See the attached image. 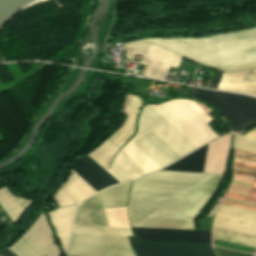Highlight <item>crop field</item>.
Masks as SVG:
<instances>
[{
  "mask_svg": "<svg viewBox=\"0 0 256 256\" xmlns=\"http://www.w3.org/2000/svg\"><path fill=\"white\" fill-rule=\"evenodd\" d=\"M74 224L108 226L104 211L94 196L80 205Z\"/></svg>",
  "mask_w": 256,
  "mask_h": 256,
  "instance_id": "obj_16",
  "label": "crop field"
},
{
  "mask_svg": "<svg viewBox=\"0 0 256 256\" xmlns=\"http://www.w3.org/2000/svg\"><path fill=\"white\" fill-rule=\"evenodd\" d=\"M7 249L16 256H47L25 235Z\"/></svg>",
  "mask_w": 256,
  "mask_h": 256,
  "instance_id": "obj_24",
  "label": "crop field"
},
{
  "mask_svg": "<svg viewBox=\"0 0 256 256\" xmlns=\"http://www.w3.org/2000/svg\"><path fill=\"white\" fill-rule=\"evenodd\" d=\"M61 187L72 197L76 203L82 202L97 192L72 170L67 180Z\"/></svg>",
  "mask_w": 256,
  "mask_h": 256,
  "instance_id": "obj_20",
  "label": "crop field"
},
{
  "mask_svg": "<svg viewBox=\"0 0 256 256\" xmlns=\"http://www.w3.org/2000/svg\"><path fill=\"white\" fill-rule=\"evenodd\" d=\"M218 89L256 96V69L238 73L223 72Z\"/></svg>",
  "mask_w": 256,
  "mask_h": 256,
  "instance_id": "obj_14",
  "label": "crop field"
},
{
  "mask_svg": "<svg viewBox=\"0 0 256 256\" xmlns=\"http://www.w3.org/2000/svg\"><path fill=\"white\" fill-rule=\"evenodd\" d=\"M0 217L4 220V222L7 224V226L13 224L1 208H0Z\"/></svg>",
  "mask_w": 256,
  "mask_h": 256,
  "instance_id": "obj_30",
  "label": "crop field"
},
{
  "mask_svg": "<svg viewBox=\"0 0 256 256\" xmlns=\"http://www.w3.org/2000/svg\"><path fill=\"white\" fill-rule=\"evenodd\" d=\"M149 40L121 44L127 52L124 55L132 60L136 54L143 55L141 61L147 65L141 76L163 79L170 67L178 68L182 57L147 43Z\"/></svg>",
  "mask_w": 256,
  "mask_h": 256,
  "instance_id": "obj_7",
  "label": "crop field"
},
{
  "mask_svg": "<svg viewBox=\"0 0 256 256\" xmlns=\"http://www.w3.org/2000/svg\"><path fill=\"white\" fill-rule=\"evenodd\" d=\"M189 95L206 101L220 111L232 132L244 130L256 122V98L194 87Z\"/></svg>",
  "mask_w": 256,
  "mask_h": 256,
  "instance_id": "obj_5",
  "label": "crop field"
},
{
  "mask_svg": "<svg viewBox=\"0 0 256 256\" xmlns=\"http://www.w3.org/2000/svg\"><path fill=\"white\" fill-rule=\"evenodd\" d=\"M142 101L140 98L130 95L127 109L125 112L130 113L129 118L124 127L113 134L108 140L113 143L118 149L128 140L133 134V129L136 121V115L141 107Z\"/></svg>",
  "mask_w": 256,
  "mask_h": 256,
  "instance_id": "obj_18",
  "label": "crop field"
},
{
  "mask_svg": "<svg viewBox=\"0 0 256 256\" xmlns=\"http://www.w3.org/2000/svg\"><path fill=\"white\" fill-rule=\"evenodd\" d=\"M231 135L222 136L209 143L204 171L224 174Z\"/></svg>",
  "mask_w": 256,
  "mask_h": 256,
  "instance_id": "obj_13",
  "label": "crop field"
},
{
  "mask_svg": "<svg viewBox=\"0 0 256 256\" xmlns=\"http://www.w3.org/2000/svg\"><path fill=\"white\" fill-rule=\"evenodd\" d=\"M149 43L215 69L256 67V28L204 39H151Z\"/></svg>",
  "mask_w": 256,
  "mask_h": 256,
  "instance_id": "obj_2",
  "label": "crop field"
},
{
  "mask_svg": "<svg viewBox=\"0 0 256 256\" xmlns=\"http://www.w3.org/2000/svg\"><path fill=\"white\" fill-rule=\"evenodd\" d=\"M195 104L188 99H176L151 106L199 147L218 136L206 124L214 119Z\"/></svg>",
  "mask_w": 256,
  "mask_h": 256,
  "instance_id": "obj_4",
  "label": "crop field"
},
{
  "mask_svg": "<svg viewBox=\"0 0 256 256\" xmlns=\"http://www.w3.org/2000/svg\"><path fill=\"white\" fill-rule=\"evenodd\" d=\"M4 181L0 178V183H3Z\"/></svg>",
  "mask_w": 256,
  "mask_h": 256,
  "instance_id": "obj_32",
  "label": "crop field"
},
{
  "mask_svg": "<svg viewBox=\"0 0 256 256\" xmlns=\"http://www.w3.org/2000/svg\"><path fill=\"white\" fill-rule=\"evenodd\" d=\"M71 169H73L78 175H80L88 184H90L95 190L99 191L105 187L117 184L101 167H99L88 156L75 160L72 163Z\"/></svg>",
  "mask_w": 256,
  "mask_h": 256,
  "instance_id": "obj_12",
  "label": "crop field"
},
{
  "mask_svg": "<svg viewBox=\"0 0 256 256\" xmlns=\"http://www.w3.org/2000/svg\"><path fill=\"white\" fill-rule=\"evenodd\" d=\"M25 234L48 256L61 254L44 214L40 216Z\"/></svg>",
  "mask_w": 256,
  "mask_h": 256,
  "instance_id": "obj_15",
  "label": "crop field"
},
{
  "mask_svg": "<svg viewBox=\"0 0 256 256\" xmlns=\"http://www.w3.org/2000/svg\"><path fill=\"white\" fill-rule=\"evenodd\" d=\"M130 182L123 183L94 195L103 209L126 206Z\"/></svg>",
  "mask_w": 256,
  "mask_h": 256,
  "instance_id": "obj_19",
  "label": "crop field"
},
{
  "mask_svg": "<svg viewBox=\"0 0 256 256\" xmlns=\"http://www.w3.org/2000/svg\"><path fill=\"white\" fill-rule=\"evenodd\" d=\"M68 256H135L127 238L72 235Z\"/></svg>",
  "mask_w": 256,
  "mask_h": 256,
  "instance_id": "obj_6",
  "label": "crop field"
},
{
  "mask_svg": "<svg viewBox=\"0 0 256 256\" xmlns=\"http://www.w3.org/2000/svg\"><path fill=\"white\" fill-rule=\"evenodd\" d=\"M109 226L130 228L126 207L104 210Z\"/></svg>",
  "mask_w": 256,
  "mask_h": 256,
  "instance_id": "obj_25",
  "label": "crop field"
},
{
  "mask_svg": "<svg viewBox=\"0 0 256 256\" xmlns=\"http://www.w3.org/2000/svg\"><path fill=\"white\" fill-rule=\"evenodd\" d=\"M72 234L128 237L130 229L74 225Z\"/></svg>",
  "mask_w": 256,
  "mask_h": 256,
  "instance_id": "obj_23",
  "label": "crop field"
},
{
  "mask_svg": "<svg viewBox=\"0 0 256 256\" xmlns=\"http://www.w3.org/2000/svg\"><path fill=\"white\" fill-rule=\"evenodd\" d=\"M77 206L73 205L48 213L63 250H65Z\"/></svg>",
  "mask_w": 256,
  "mask_h": 256,
  "instance_id": "obj_17",
  "label": "crop field"
},
{
  "mask_svg": "<svg viewBox=\"0 0 256 256\" xmlns=\"http://www.w3.org/2000/svg\"><path fill=\"white\" fill-rule=\"evenodd\" d=\"M212 227L256 236V212L221 204Z\"/></svg>",
  "mask_w": 256,
  "mask_h": 256,
  "instance_id": "obj_10",
  "label": "crop field"
},
{
  "mask_svg": "<svg viewBox=\"0 0 256 256\" xmlns=\"http://www.w3.org/2000/svg\"><path fill=\"white\" fill-rule=\"evenodd\" d=\"M213 248L218 256H252L250 254L224 250V249H220V248H216V247H213Z\"/></svg>",
  "mask_w": 256,
  "mask_h": 256,
  "instance_id": "obj_28",
  "label": "crop field"
},
{
  "mask_svg": "<svg viewBox=\"0 0 256 256\" xmlns=\"http://www.w3.org/2000/svg\"><path fill=\"white\" fill-rule=\"evenodd\" d=\"M221 73H222L221 71H218V70L216 71V75L211 88L217 89Z\"/></svg>",
  "mask_w": 256,
  "mask_h": 256,
  "instance_id": "obj_29",
  "label": "crop field"
},
{
  "mask_svg": "<svg viewBox=\"0 0 256 256\" xmlns=\"http://www.w3.org/2000/svg\"><path fill=\"white\" fill-rule=\"evenodd\" d=\"M136 237L151 242L201 243L211 245L210 231L132 228Z\"/></svg>",
  "mask_w": 256,
  "mask_h": 256,
  "instance_id": "obj_11",
  "label": "crop field"
},
{
  "mask_svg": "<svg viewBox=\"0 0 256 256\" xmlns=\"http://www.w3.org/2000/svg\"><path fill=\"white\" fill-rule=\"evenodd\" d=\"M131 141L161 168L198 148L150 105L144 107ZM131 141L121 150L123 153L147 174L161 169Z\"/></svg>",
  "mask_w": 256,
  "mask_h": 256,
  "instance_id": "obj_3",
  "label": "crop field"
},
{
  "mask_svg": "<svg viewBox=\"0 0 256 256\" xmlns=\"http://www.w3.org/2000/svg\"><path fill=\"white\" fill-rule=\"evenodd\" d=\"M223 176L159 171L133 181L128 203L131 225L196 229V220Z\"/></svg>",
  "mask_w": 256,
  "mask_h": 256,
  "instance_id": "obj_1",
  "label": "crop field"
},
{
  "mask_svg": "<svg viewBox=\"0 0 256 256\" xmlns=\"http://www.w3.org/2000/svg\"><path fill=\"white\" fill-rule=\"evenodd\" d=\"M117 150L118 149L107 140L92 153L88 154V156L112 175L119 183L146 175L145 172L120 151L115 155L109 169H107L111 158Z\"/></svg>",
  "mask_w": 256,
  "mask_h": 256,
  "instance_id": "obj_8",
  "label": "crop field"
},
{
  "mask_svg": "<svg viewBox=\"0 0 256 256\" xmlns=\"http://www.w3.org/2000/svg\"><path fill=\"white\" fill-rule=\"evenodd\" d=\"M207 146L208 145L204 146L193 154L175 162L174 164L164 168L163 170L202 172Z\"/></svg>",
  "mask_w": 256,
  "mask_h": 256,
  "instance_id": "obj_22",
  "label": "crop field"
},
{
  "mask_svg": "<svg viewBox=\"0 0 256 256\" xmlns=\"http://www.w3.org/2000/svg\"><path fill=\"white\" fill-rule=\"evenodd\" d=\"M234 149L256 153V128L245 135H235Z\"/></svg>",
  "mask_w": 256,
  "mask_h": 256,
  "instance_id": "obj_26",
  "label": "crop field"
},
{
  "mask_svg": "<svg viewBox=\"0 0 256 256\" xmlns=\"http://www.w3.org/2000/svg\"><path fill=\"white\" fill-rule=\"evenodd\" d=\"M136 256H216L212 247L184 244L142 243L130 237Z\"/></svg>",
  "mask_w": 256,
  "mask_h": 256,
  "instance_id": "obj_9",
  "label": "crop field"
},
{
  "mask_svg": "<svg viewBox=\"0 0 256 256\" xmlns=\"http://www.w3.org/2000/svg\"><path fill=\"white\" fill-rule=\"evenodd\" d=\"M54 199L59 208L75 204V202L67 195V193L61 187L54 195Z\"/></svg>",
  "mask_w": 256,
  "mask_h": 256,
  "instance_id": "obj_27",
  "label": "crop field"
},
{
  "mask_svg": "<svg viewBox=\"0 0 256 256\" xmlns=\"http://www.w3.org/2000/svg\"><path fill=\"white\" fill-rule=\"evenodd\" d=\"M30 201L29 199L14 197L6 186L0 189V206L12 222L21 215Z\"/></svg>",
  "mask_w": 256,
  "mask_h": 256,
  "instance_id": "obj_21",
  "label": "crop field"
},
{
  "mask_svg": "<svg viewBox=\"0 0 256 256\" xmlns=\"http://www.w3.org/2000/svg\"><path fill=\"white\" fill-rule=\"evenodd\" d=\"M6 227V224L0 218V229Z\"/></svg>",
  "mask_w": 256,
  "mask_h": 256,
  "instance_id": "obj_31",
  "label": "crop field"
}]
</instances>
